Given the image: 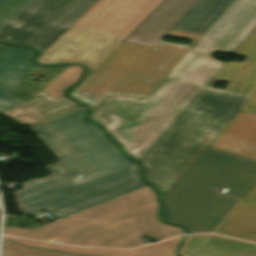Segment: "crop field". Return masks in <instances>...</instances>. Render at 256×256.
I'll return each mask as SVG.
<instances>
[{
	"label": "crop field",
	"mask_w": 256,
	"mask_h": 256,
	"mask_svg": "<svg viewBox=\"0 0 256 256\" xmlns=\"http://www.w3.org/2000/svg\"><path fill=\"white\" fill-rule=\"evenodd\" d=\"M256 28V0H237L145 99L109 96L90 116L141 160Z\"/></svg>",
	"instance_id": "1"
},
{
	"label": "crop field",
	"mask_w": 256,
	"mask_h": 256,
	"mask_svg": "<svg viewBox=\"0 0 256 256\" xmlns=\"http://www.w3.org/2000/svg\"><path fill=\"white\" fill-rule=\"evenodd\" d=\"M235 53L247 59L226 62L141 160L163 196L238 111L256 114V36ZM216 81L230 84L219 90L211 87Z\"/></svg>",
	"instance_id": "2"
},
{
	"label": "crop field",
	"mask_w": 256,
	"mask_h": 256,
	"mask_svg": "<svg viewBox=\"0 0 256 256\" xmlns=\"http://www.w3.org/2000/svg\"><path fill=\"white\" fill-rule=\"evenodd\" d=\"M155 193L143 187L37 229L4 227L3 234L80 246L117 248L145 244L142 236L156 239L183 233L161 223Z\"/></svg>",
	"instance_id": "3"
},
{
	"label": "crop field",
	"mask_w": 256,
	"mask_h": 256,
	"mask_svg": "<svg viewBox=\"0 0 256 256\" xmlns=\"http://www.w3.org/2000/svg\"><path fill=\"white\" fill-rule=\"evenodd\" d=\"M85 111L34 129L75 176L84 177L74 178L60 161L47 165L51 176L23 183L24 190L14 191L19 209L136 164L123 156L95 124L83 118Z\"/></svg>",
	"instance_id": "4"
},
{
	"label": "crop field",
	"mask_w": 256,
	"mask_h": 256,
	"mask_svg": "<svg viewBox=\"0 0 256 256\" xmlns=\"http://www.w3.org/2000/svg\"><path fill=\"white\" fill-rule=\"evenodd\" d=\"M255 182V160L206 148L164 197V219L189 233L215 232ZM210 184L229 189L202 192Z\"/></svg>",
	"instance_id": "5"
},
{
	"label": "crop field",
	"mask_w": 256,
	"mask_h": 256,
	"mask_svg": "<svg viewBox=\"0 0 256 256\" xmlns=\"http://www.w3.org/2000/svg\"><path fill=\"white\" fill-rule=\"evenodd\" d=\"M168 35L191 39L193 43L186 46L161 41L152 49L123 41L72 97L89 104L93 111L109 95L145 99L202 37L175 31Z\"/></svg>",
	"instance_id": "6"
},
{
	"label": "crop field",
	"mask_w": 256,
	"mask_h": 256,
	"mask_svg": "<svg viewBox=\"0 0 256 256\" xmlns=\"http://www.w3.org/2000/svg\"><path fill=\"white\" fill-rule=\"evenodd\" d=\"M111 0H98L36 60L41 63L83 28ZM163 0H114L80 34L44 64L82 62L90 75ZM86 65V66H87Z\"/></svg>",
	"instance_id": "7"
},
{
	"label": "crop field",
	"mask_w": 256,
	"mask_h": 256,
	"mask_svg": "<svg viewBox=\"0 0 256 256\" xmlns=\"http://www.w3.org/2000/svg\"><path fill=\"white\" fill-rule=\"evenodd\" d=\"M97 0H33L1 33L0 39L43 52Z\"/></svg>",
	"instance_id": "8"
},
{
	"label": "crop field",
	"mask_w": 256,
	"mask_h": 256,
	"mask_svg": "<svg viewBox=\"0 0 256 256\" xmlns=\"http://www.w3.org/2000/svg\"><path fill=\"white\" fill-rule=\"evenodd\" d=\"M143 186L146 183L139 179L136 164L18 211L25 215L45 208L62 218Z\"/></svg>",
	"instance_id": "9"
},
{
	"label": "crop field",
	"mask_w": 256,
	"mask_h": 256,
	"mask_svg": "<svg viewBox=\"0 0 256 256\" xmlns=\"http://www.w3.org/2000/svg\"><path fill=\"white\" fill-rule=\"evenodd\" d=\"M199 0H164L126 39L155 48Z\"/></svg>",
	"instance_id": "10"
},
{
	"label": "crop field",
	"mask_w": 256,
	"mask_h": 256,
	"mask_svg": "<svg viewBox=\"0 0 256 256\" xmlns=\"http://www.w3.org/2000/svg\"><path fill=\"white\" fill-rule=\"evenodd\" d=\"M209 147L256 159V115L238 112Z\"/></svg>",
	"instance_id": "11"
},
{
	"label": "crop field",
	"mask_w": 256,
	"mask_h": 256,
	"mask_svg": "<svg viewBox=\"0 0 256 256\" xmlns=\"http://www.w3.org/2000/svg\"><path fill=\"white\" fill-rule=\"evenodd\" d=\"M29 49L5 46L0 56V110L22 100L8 98L33 66Z\"/></svg>",
	"instance_id": "12"
},
{
	"label": "crop field",
	"mask_w": 256,
	"mask_h": 256,
	"mask_svg": "<svg viewBox=\"0 0 256 256\" xmlns=\"http://www.w3.org/2000/svg\"><path fill=\"white\" fill-rule=\"evenodd\" d=\"M184 236L177 237L167 242L141 247L133 250L115 249H85L39 241L23 240L4 237L13 242L39 248L73 252L92 256H178L176 250Z\"/></svg>",
	"instance_id": "13"
},
{
	"label": "crop field",
	"mask_w": 256,
	"mask_h": 256,
	"mask_svg": "<svg viewBox=\"0 0 256 256\" xmlns=\"http://www.w3.org/2000/svg\"><path fill=\"white\" fill-rule=\"evenodd\" d=\"M216 233L256 241V185Z\"/></svg>",
	"instance_id": "14"
},
{
	"label": "crop field",
	"mask_w": 256,
	"mask_h": 256,
	"mask_svg": "<svg viewBox=\"0 0 256 256\" xmlns=\"http://www.w3.org/2000/svg\"><path fill=\"white\" fill-rule=\"evenodd\" d=\"M77 103L60 96L56 99L43 95L2 112L10 118L25 125L49 115L60 112Z\"/></svg>",
	"instance_id": "15"
},
{
	"label": "crop field",
	"mask_w": 256,
	"mask_h": 256,
	"mask_svg": "<svg viewBox=\"0 0 256 256\" xmlns=\"http://www.w3.org/2000/svg\"><path fill=\"white\" fill-rule=\"evenodd\" d=\"M234 0H201L173 29L204 35Z\"/></svg>",
	"instance_id": "16"
},
{
	"label": "crop field",
	"mask_w": 256,
	"mask_h": 256,
	"mask_svg": "<svg viewBox=\"0 0 256 256\" xmlns=\"http://www.w3.org/2000/svg\"><path fill=\"white\" fill-rule=\"evenodd\" d=\"M195 256H256V244L212 235Z\"/></svg>",
	"instance_id": "17"
},
{
	"label": "crop field",
	"mask_w": 256,
	"mask_h": 256,
	"mask_svg": "<svg viewBox=\"0 0 256 256\" xmlns=\"http://www.w3.org/2000/svg\"><path fill=\"white\" fill-rule=\"evenodd\" d=\"M81 73L82 68L80 66L68 67L58 78H56L52 83H50L40 93V95L46 93L54 98L63 95V89L75 83L79 79Z\"/></svg>",
	"instance_id": "18"
},
{
	"label": "crop field",
	"mask_w": 256,
	"mask_h": 256,
	"mask_svg": "<svg viewBox=\"0 0 256 256\" xmlns=\"http://www.w3.org/2000/svg\"><path fill=\"white\" fill-rule=\"evenodd\" d=\"M32 0H0V32L31 2Z\"/></svg>",
	"instance_id": "19"
},
{
	"label": "crop field",
	"mask_w": 256,
	"mask_h": 256,
	"mask_svg": "<svg viewBox=\"0 0 256 256\" xmlns=\"http://www.w3.org/2000/svg\"><path fill=\"white\" fill-rule=\"evenodd\" d=\"M4 256H79L37 249H30L3 240Z\"/></svg>",
	"instance_id": "20"
},
{
	"label": "crop field",
	"mask_w": 256,
	"mask_h": 256,
	"mask_svg": "<svg viewBox=\"0 0 256 256\" xmlns=\"http://www.w3.org/2000/svg\"><path fill=\"white\" fill-rule=\"evenodd\" d=\"M211 235L204 236H188L186 242L184 243L180 253L184 256H194L200 248L205 244V242L210 238Z\"/></svg>",
	"instance_id": "21"
},
{
	"label": "crop field",
	"mask_w": 256,
	"mask_h": 256,
	"mask_svg": "<svg viewBox=\"0 0 256 256\" xmlns=\"http://www.w3.org/2000/svg\"><path fill=\"white\" fill-rule=\"evenodd\" d=\"M81 107H83V106H80V105L77 104V105H75V106H73V107H71V108H68V109H66V110H64V111H62V112H60V113H57V114H55V115L49 116V117H47V118L41 119V120L36 121V122H33V123H31V124H28V126H29L30 128H32V127H34V126H37V125H39V124H41V123H44V122H46V121H49V120H51V119H54V118L59 117V116H61V115H64V114H66V113H68V112H71V111L76 110V109L81 108Z\"/></svg>",
	"instance_id": "22"
},
{
	"label": "crop field",
	"mask_w": 256,
	"mask_h": 256,
	"mask_svg": "<svg viewBox=\"0 0 256 256\" xmlns=\"http://www.w3.org/2000/svg\"><path fill=\"white\" fill-rule=\"evenodd\" d=\"M222 190L223 188L221 187L210 186L206 191L220 194Z\"/></svg>",
	"instance_id": "23"
},
{
	"label": "crop field",
	"mask_w": 256,
	"mask_h": 256,
	"mask_svg": "<svg viewBox=\"0 0 256 256\" xmlns=\"http://www.w3.org/2000/svg\"><path fill=\"white\" fill-rule=\"evenodd\" d=\"M112 1H113V0H112ZM112 1H111V2H112ZM111 2H110V3H111ZM110 3H109V4H110ZM109 4H108V5H109ZM108 5H107V6H108ZM107 6H105V7H107ZM105 7H104V8H105ZM104 8H103V9H104ZM103 9H102V10H103ZM102 10H101V11H102ZM101 11H100V12H101ZM100 12H99V13H100ZM99 13H98V14H99ZM98 14H97V15H98ZM97 15H96V16H97ZM96 16H95V17H96ZM95 17H94V18H95ZM94 18H93V19H94ZM93 19H92V20H93ZM92 20H91V21H92ZM91 21H90V22H91ZM90 22H89V23H90ZM89 23H88V24H89ZM88 24H87V25H88ZM87 25H86V26H87ZM86 26H85V27H86ZM85 27H84V28H85ZM84 28H83V29H84ZM83 29H81L79 32H81ZM79 32H78V33H79ZM78 33H77V34H78ZM77 34H76V35H77ZM58 50H59V49H58ZM45 61H46V60H45ZM45 61H44V62H45ZM44 62H43V63H44ZM43 63H41V64H43Z\"/></svg>",
	"instance_id": "24"
},
{
	"label": "crop field",
	"mask_w": 256,
	"mask_h": 256,
	"mask_svg": "<svg viewBox=\"0 0 256 256\" xmlns=\"http://www.w3.org/2000/svg\"><path fill=\"white\" fill-rule=\"evenodd\" d=\"M253 35H256V29L254 30V32L252 33Z\"/></svg>",
	"instance_id": "25"
},
{
	"label": "crop field",
	"mask_w": 256,
	"mask_h": 256,
	"mask_svg": "<svg viewBox=\"0 0 256 256\" xmlns=\"http://www.w3.org/2000/svg\"><path fill=\"white\" fill-rule=\"evenodd\" d=\"M1 47H2V44H0V49H1Z\"/></svg>",
	"instance_id": "26"
},
{
	"label": "crop field",
	"mask_w": 256,
	"mask_h": 256,
	"mask_svg": "<svg viewBox=\"0 0 256 256\" xmlns=\"http://www.w3.org/2000/svg\"><path fill=\"white\" fill-rule=\"evenodd\" d=\"M0 213H1V211H0Z\"/></svg>",
	"instance_id": "27"
}]
</instances>
